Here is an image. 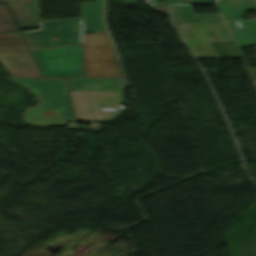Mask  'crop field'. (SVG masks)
Instances as JSON below:
<instances>
[{"label": "crop field", "mask_w": 256, "mask_h": 256, "mask_svg": "<svg viewBox=\"0 0 256 256\" xmlns=\"http://www.w3.org/2000/svg\"><path fill=\"white\" fill-rule=\"evenodd\" d=\"M252 1L254 2L255 6H256V0H252Z\"/></svg>", "instance_id": "crop-field-13"}, {"label": "crop field", "mask_w": 256, "mask_h": 256, "mask_svg": "<svg viewBox=\"0 0 256 256\" xmlns=\"http://www.w3.org/2000/svg\"><path fill=\"white\" fill-rule=\"evenodd\" d=\"M89 128H90V129H93V130L96 131V132H98V130H99V128H100V125L91 123Z\"/></svg>", "instance_id": "crop-field-12"}, {"label": "crop field", "mask_w": 256, "mask_h": 256, "mask_svg": "<svg viewBox=\"0 0 256 256\" xmlns=\"http://www.w3.org/2000/svg\"><path fill=\"white\" fill-rule=\"evenodd\" d=\"M31 52L43 76H84L81 44Z\"/></svg>", "instance_id": "crop-field-3"}, {"label": "crop field", "mask_w": 256, "mask_h": 256, "mask_svg": "<svg viewBox=\"0 0 256 256\" xmlns=\"http://www.w3.org/2000/svg\"><path fill=\"white\" fill-rule=\"evenodd\" d=\"M224 18L238 17L225 20L239 47L255 44L256 19L242 20L244 10H256L251 0H217ZM256 80V67L249 69Z\"/></svg>", "instance_id": "crop-field-5"}, {"label": "crop field", "mask_w": 256, "mask_h": 256, "mask_svg": "<svg viewBox=\"0 0 256 256\" xmlns=\"http://www.w3.org/2000/svg\"><path fill=\"white\" fill-rule=\"evenodd\" d=\"M32 90L39 98L37 107L27 108L24 120L27 125H66L75 121L69 91H116L124 90L121 77H77L68 78H9ZM51 111L52 117H40L44 111ZM37 117V120L32 119Z\"/></svg>", "instance_id": "crop-field-1"}, {"label": "crop field", "mask_w": 256, "mask_h": 256, "mask_svg": "<svg viewBox=\"0 0 256 256\" xmlns=\"http://www.w3.org/2000/svg\"><path fill=\"white\" fill-rule=\"evenodd\" d=\"M197 59H217L211 41H230L223 23L177 25Z\"/></svg>", "instance_id": "crop-field-6"}, {"label": "crop field", "mask_w": 256, "mask_h": 256, "mask_svg": "<svg viewBox=\"0 0 256 256\" xmlns=\"http://www.w3.org/2000/svg\"><path fill=\"white\" fill-rule=\"evenodd\" d=\"M256 82V81H255Z\"/></svg>", "instance_id": "crop-field-14"}, {"label": "crop field", "mask_w": 256, "mask_h": 256, "mask_svg": "<svg viewBox=\"0 0 256 256\" xmlns=\"http://www.w3.org/2000/svg\"><path fill=\"white\" fill-rule=\"evenodd\" d=\"M169 4L189 3V4H212V0H168Z\"/></svg>", "instance_id": "crop-field-11"}, {"label": "crop field", "mask_w": 256, "mask_h": 256, "mask_svg": "<svg viewBox=\"0 0 256 256\" xmlns=\"http://www.w3.org/2000/svg\"><path fill=\"white\" fill-rule=\"evenodd\" d=\"M0 64L12 77H41L20 32L0 33Z\"/></svg>", "instance_id": "crop-field-4"}, {"label": "crop field", "mask_w": 256, "mask_h": 256, "mask_svg": "<svg viewBox=\"0 0 256 256\" xmlns=\"http://www.w3.org/2000/svg\"><path fill=\"white\" fill-rule=\"evenodd\" d=\"M30 50L81 43L80 17L41 22V30L23 33Z\"/></svg>", "instance_id": "crop-field-2"}, {"label": "crop field", "mask_w": 256, "mask_h": 256, "mask_svg": "<svg viewBox=\"0 0 256 256\" xmlns=\"http://www.w3.org/2000/svg\"><path fill=\"white\" fill-rule=\"evenodd\" d=\"M18 30L4 4H0V31Z\"/></svg>", "instance_id": "crop-field-10"}, {"label": "crop field", "mask_w": 256, "mask_h": 256, "mask_svg": "<svg viewBox=\"0 0 256 256\" xmlns=\"http://www.w3.org/2000/svg\"><path fill=\"white\" fill-rule=\"evenodd\" d=\"M171 15L174 24L222 22L219 14H192L190 5L171 6Z\"/></svg>", "instance_id": "crop-field-9"}, {"label": "crop field", "mask_w": 256, "mask_h": 256, "mask_svg": "<svg viewBox=\"0 0 256 256\" xmlns=\"http://www.w3.org/2000/svg\"><path fill=\"white\" fill-rule=\"evenodd\" d=\"M6 3L20 29L39 26L37 0H0Z\"/></svg>", "instance_id": "crop-field-7"}, {"label": "crop field", "mask_w": 256, "mask_h": 256, "mask_svg": "<svg viewBox=\"0 0 256 256\" xmlns=\"http://www.w3.org/2000/svg\"><path fill=\"white\" fill-rule=\"evenodd\" d=\"M104 0L81 3L83 32H106L103 25Z\"/></svg>", "instance_id": "crop-field-8"}]
</instances>
